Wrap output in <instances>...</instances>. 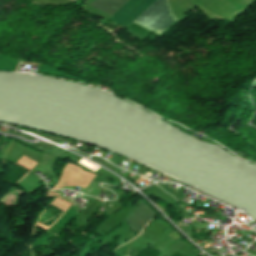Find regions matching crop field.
<instances>
[{
  "mask_svg": "<svg viewBox=\"0 0 256 256\" xmlns=\"http://www.w3.org/2000/svg\"><path fill=\"white\" fill-rule=\"evenodd\" d=\"M165 2L170 11V8H169L166 0H165ZM165 2H164V0H157L143 14H141L135 21L144 25L145 27H147L151 30H155V31L161 33L162 31H164L166 28H168L170 25H172L174 23L171 16L173 17L174 21L176 22L171 11H170L171 16H170V13L165 5ZM155 31H153V32L156 33ZM156 34L158 35V33H156Z\"/></svg>",
  "mask_w": 256,
  "mask_h": 256,
  "instance_id": "1",
  "label": "crop field"
},
{
  "mask_svg": "<svg viewBox=\"0 0 256 256\" xmlns=\"http://www.w3.org/2000/svg\"><path fill=\"white\" fill-rule=\"evenodd\" d=\"M154 1L155 0H129L110 18V20L127 27Z\"/></svg>",
  "mask_w": 256,
  "mask_h": 256,
  "instance_id": "2",
  "label": "crop field"
},
{
  "mask_svg": "<svg viewBox=\"0 0 256 256\" xmlns=\"http://www.w3.org/2000/svg\"><path fill=\"white\" fill-rule=\"evenodd\" d=\"M154 215L155 213L151 208L141 203L128 219V224L132 230L140 232L142 228L154 217Z\"/></svg>",
  "mask_w": 256,
  "mask_h": 256,
  "instance_id": "3",
  "label": "crop field"
},
{
  "mask_svg": "<svg viewBox=\"0 0 256 256\" xmlns=\"http://www.w3.org/2000/svg\"><path fill=\"white\" fill-rule=\"evenodd\" d=\"M127 1L128 0H95L91 6L112 15Z\"/></svg>",
  "mask_w": 256,
  "mask_h": 256,
  "instance_id": "4",
  "label": "crop field"
}]
</instances>
